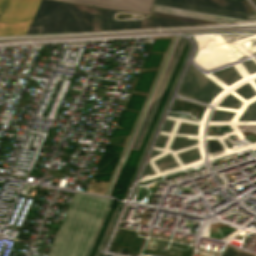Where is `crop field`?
Wrapping results in <instances>:
<instances>
[{
  "label": "crop field",
  "mask_w": 256,
  "mask_h": 256,
  "mask_svg": "<svg viewBox=\"0 0 256 256\" xmlns=\"http://www.w3.org/2000/svg\"><path fill=\"white\" fill-rule=\"evenodd\" d=\"M116 12L118 11L42 0L28 32L188 23L162 17L146 19L142 22H117L113 19V14Z\"/></svg>",
  "instance_id": "obj_1"
},
{
  "label": "crop field",
  "mask_w": 256,
  "mask_h": 256,
  "mask_svg": "<svg viewBox=\"0 0 256 256\" xmlns=\"http://www.w3.org/2000/svg\"><path fill=\"white\" fill-rule=\"evenodd\" d=\"M108 200L75 192L48 256H84Z\"/></svg>",
  "instance_id": "obj_2"
},
{
  "label": "crop field",
  "mask_w": 256,
  "mask_h": 256,
  "mask_svg": "<svg viewBox=\"0 0 256 256\" xmlns=\"http://www.w3.org/2000/svg\"><path fill=\"white\" fill-rule=\"evenodd\" d=\"M185 42H186L187 45H188V50H187V53H186L184 62H183L182 67H181V69H180V71H179V73H178V75H177V77H176V79H175V81H174V84H173V86H172V89H171V91H170V93H169V96H168V98H167V100H166V103H165V105H164V107H163V110H162V112H161V114H160V116H159V118H158V120H157V122H156V124H155V126H154V129H153V131H152V133H151V136H150V138H149V140H148V142H147V145H146V147H145V149H144V152H143V154H142V156H141V159H140V161H139V163H138V166H137V168H136V170H135V172H134V175H133V177H132V179H131V182H130V184H129V186H128L129 188L131 187V185H132V183H133V181H134V178H135V176H136V174H137V172H138V169H139V167H140V165H141V163H142V161H143V159H144V157H145V154H146V152H147V150H148V148H149V145H150V143H151V141H152V138H153V136H154V134H155V132H156L157 126H158V124H159V122H160V119H161V117H162V115H163V112H164V110H165V108H166V106H167V103H168V101H169V99H170V96H171V94H172V92H173V89H174V87H175V85H176V82H177V80H178V78H179V76H180V73H181V71H182V69H183V66H184V64H185V61H186V59H187V56H188V53H189V50H190V43H189V41H187L185 38H183V37H181V36L179 37V40H178L177 46H176V48H175V50H174V53H173V55H172V57H171V59H170V62H169V64H168L166 70H165V73H164V75H163V77H162V79H161V82H160V84H159V86H158V89H157V91H156V93H155V95H154V97H153V100H152V102H151V104H150V107H149V109H148V111H147V114H146V116H145V118H144V120H143V123H142V125H141V127H140V130H139V132H138V134H137V137H136V139H135V141H134V144H133V146H132V148H131V149H135V150H138V149H139V147H140V145H141V142H142V140H143V138H144V136H145V133H146V131H147V129H148V126H149V124H150V122H151V119H152V117H153V115H154V112H155L157 106H158V103H159V101H160V99H161V96H162V94H163V92H164V89H165V87H166V85H167V83H168V80H169V78H170V76H171V73H172V71H173V69H174V67H175V64H176V62H177V60H178V57H179V55H180V53H181V51H182V48H183Z\"/></svg>",
  "instance_id": "obj_3"
},
{
  "label": "crop field",
  "mask_w": 256,
  "mask_h": 256,
  "mask_svg": "<svg viewBox=\"0 0 256 256\" xmlns=\"http://www.w3.org/2000/svg\"><path fill=\"white\" fill-rule=\"evenodd\" d=\"M41 0H8L0 16V35L26 33Z\"/></svg>",
  "instance_id": "obj_4"
},
{
  "label": "crop field",
  "mask_w": 256,
  "mask_h": 256,
  "mask_svg": "<svg viewBox=\"0 0 256 256\" xmlns=\"http://www.w3.org/2000/svg\"><path fill=\"white\" fill-rule=\"evenodd\" d=\"M222 88L207 76L190 68L178 94L210 101Z\"/></svg>",
  "instance_id": "obj_5"
},
{
  "label": "crop field",
  "mask_w": 256,
  "mask_h": 256,
  "mask_svg": "<svg viewBox=\"0 0 256 256\" xmlns=\"http://www.w3.org/2000/svg\"><path fill=\"white\" fill-rule=\"evenodd\" d=\"M178 37H179V36H175L174 39H173V41H172V44H171V46H170V48H169V51H168V53H167V55H166V57H165V60H164V62H163V64H162V67H161V69H160V71H159V74H158V76H157V78H156V80H155V83H154V85H153V87H152V90H151V92H150V94H149V96H148V99H147V101H146V103H145V106H144V108H143V110H142V112H141V114H140V117H139V119H138V121H137V123H136V125H135V127H134V130H133V132H132V134H131V136H130V138H129V141H128L127 145H126V148H125V150H124V153H123V155H122V157H121V161H120V163H119V165H118V167H117V169H116V171H115V173H114V176H113V178H112V180H111V182H110V184H109V186H108V188H107V191H106V194H105V195H107V196L110 195V193H111V191H112V189H113V186H114V184H115V182H116V180H117V177H118V175H119V173H120V171H121V168H122V166H123V164H124V162H125V159H126L128 153H129V150H130V148H131V146H132V144H133V141H134V139H135V137H136V134H137V132H138V129H139V127H140V125H141V122H142V120H143V118H144V115H145V113H146V111H147V108H148V106H149V103H150V101H151V99H152V97H153V95H154V93H155V91H156V88H157V86H158V84H159V82H160V79H161L162 74H163V72H164V70H165V67H166V65H167V63H168V60H169V58H170V55H171V53H172V51H173V48H174L176 42H177Z\"/></svg>",
  "instance_id": "obj_6"
},
{
  "label": "crop field",
  "mask_w": 256,
  "mask_h": 256,
  "mask_svg": "<svg viewBox=\"0 0 256 256\" xmlns=\"http://www.w3.org/2000/svg\"><path fill=\"white\" fill-rule=\"evenodd\" d=\"M82 5L149 14L153 0H61Z\"/></svg>",
  "instance_id": "obj_7"
},
{
  "label": "crop field",
  "mask_w": 256,
  "mask_h": 256,
  "mask_svg": "<svg viewBox=\"0 0 256 256\" xmlns=\"http://www.w3.org/2000/svg\"><path fill=\"white\" fill-rule=\"evenodd\" d=\"M155 1L156 2L154 4H158V5L178 7V8H184V9L200 11V12L215 13V14L233 16L238 18H244L248 20L256 19V15L254 14H248V13H242V12H236V11H230V10H224V9L200 6V5H193V4H187V3H180V2H174V1H167V0H155Z\"/></svg>",
  "instance_id": "obj_8"
},
{
  "label": "crop field",
  "mask_w": 256,
  "mask_h": 256,
  "mask_svg": "<svg viewBox=\"0 0 256 256\" xmlns=\"http://www.w3.org/2000/svg\"><path fill=\"white\" fill-rule=\"evenodd\" d=\"M176 1L212 6V7H219V8H225V9H232V10L251 13V11L249 10L245 2H239V1H233V0H176Z\"/></svg>",
  "instance_id": "obj_9"
},
{
  "label": "crop field",
  "mask_w": 256,
  "mask_h": 256,
  "mask_svg": "<svg viewBox=\"0 0 256 256\" xmlns=\"http://www.w3.org/2000/svg\"><path fill=\"white\" fill-rule=\"evenodd\" d=\"M121 206H122V203H120V204L115 208V210H114V212H113V214H112V216H111V219H110V221H109V223H108V226H107V228H106V230H105V233H104V235H103V237H102V240H101V242H100V244H99V247H98V249H97V251H96L95 256H103L102 254H100L99 249H101V248H103V247L105 246V244H106V242H107V240H108V238H109V235H110V233H111V230H112V228H113V225H114V223H115V221H116V218H117V216H118V213H119V211H120Z\"/></svg>",
  "instance_id": "obj_10"
},
{
  "label": "crop field",
  "mask_w": 256,
  "mask_h": 256,
  "mask_svg": "<svg viewBox=\"0 0 256 256\" xmlns=\"http://www.w3.org/2000/svg\"><path fill=\"white\" fill-rule=\"evenodd\" d=\"M212 75L220 79L225 84H228L233 80L240 78V76L232 68L213 73Z\"/></svg>",
  "instance_id": "obj_11"
},
{
  "label": "crop field",
  "mask_w": 256,
  "mask_h": 256,
  "mask_svg": "<svg viewBox=\"0 0 256 256\" xmlns=\"http://www.w3.org/2000/svg\"><path fill=\"white\" fill-rule=\"evenodd\" d=\"M111 204H112V201L110 200L109 203H108V205H107V207H106V209H105V211H104V213H103V216H102V218H101V220H100V223H99V225H98V227H97V230H96V232H95V234H94V236H93V239H92V241H91V243H90V246H89V248H88L87 253H86L85 256H89V254H90V252H91V250H92V248H93V246H94V243H95V241H96V239H97V236H98V234H99V231H100V229H101V227H102V224H103V222H104V220H105V217H106V215H107V213H108V211H109V208H110Z\"/></svg>",
  "instance_id": "obj_12"
},
{
  "label": "crop field",
  "mask_w": 256,
  "mask_h": 256,
  "mask_svg": "<svg viewBox=\"0 0 256 256\" xmlns=\"http://www.w3.org/2000/svg\"><path fill=\"white\" fill-rule=\"evenodd\" d=\"M234 112L235 111H232V110H226V109L217 108V110L214 113L213 118L220 119V120L231 121L232 117L234 115Z\"/></svg>",
  "instance_id": "obj_13"
},
{
  "label": "crop field",
  "mask_w": 256,
  "mask_h": 256,
  "mask_svg": "<svg viewBox=\"0 0 256 256\" xmlns=\"http://www.w3.org/2000/svg\"><path fill=\"white\" fill-rule=\"evenodd\" d=\"M195 128L196 127H194V126H190V125H186V124L181 123L177 132H176V134L193 137L194 132H195Z\"/></svg>",
  "instance_id": "obj_14"
},
{
  "label": "crop field",
  "mask_w": 256,
  "mask_h": 256,
  "mask_svg": "<svg viewBox=\"0 0 256 256\" xmlns=\"http://www.w3.org/2000/svg\"><path fill=\"white\" fill-rule=\"evenodd\" d=\"M178 157L184 163V162H187V161H191V160L197 159L199 157V154H198V150L196 148V149H193V150H190V151L178 154Z\"/></svg>",
  "instance_id": "obj_15"
},
{
  "label": "crop field",
  "mask_w": 256,
  "mask_h": 256,
  "mask_svg": "<svg viewBox=\"0 0 256 256\" xmlns=\"http://www.w3.org/2000/svg\"><path fill=\"white\" fill-rule=\"evenodd\" d=\"M175 165H176V163H175L174 159L172 158L171 154L154 164V166H156L160 169L175 166Z\"/></svg>",
  "instance_id": "obj_16"
},
{
  "label": "crop field",
  "mask_w": 256,
  "mask_h": 256,
  "mask_svg": "<svg viewBox=\"0 0 256 256\" xmlns=\"http://www.w3.org/2000/svg\"><path fill=\"white\" fill-rule=\"evenodd\" d=\"M242 102V100L232 93L222 102V104L238 108Z\"/></svg>",
  "instance_id": "obj_17"
},
{
  "label": "crop field",
  "mask_w": 256,
  "mask_h": 256,
  "mask_svg": "<svg viewBox=\"0 0 256 256\" xmlns=\"http://www.w3.org/2000/svg\"><path fill=\"white\" fill-rule=\"evenodd\" d=\"M240 120H256V107L249 104Z\"/></svg>",
  "instance_id": "obj_18"
},
{
  "label": "crop field",
  "mask_w": 256,
  "mask_h": 256,
  "mask_svg": "<svg viewBox=\"0 0 256 256\" xmlns=\"http://www.w3.org/2000/svg\"><path fill=\"white\" fill-rule=\"evenodd\" d=\"M237 68L244 74V75H247L251 72H254L256 71V68L250 63H244V64H241L239 66H237Z\"/></svg>",
  "instance_id": "obj_19"
},
{
  "label": "crop field",
  "mask_w": 256,
  "mask_h": 256,
  "mask_svg": "<svg viewBox=\"0 0 256 256\" xmlns=\"http://www.w3.org/2000/svg\"><path fill=\"white\" fill-rule=\"evenodd\" d=\"M238 90L241 91L248 98L256 93L255 88L253 86V83H250V84H248V85H246V86H244V87H242Z\"/></svg>",
  "instance_id": "obj_20"
},
{
  "label": "crop field",
  "mask_w": 256,
  "mask_h": 256,
  "mask_svg": "<svg viewBox=\"0 0 256 256\" xmlns=\"http://www.w3.org/2000/svg\"><path fill=\"white\" fill-rule=\"evenodd\" d=\"M173 140H174L176 149L191 145L190 141H187V140H181V139H175V138H173Z\"/></svg>",
  "instance_id": "obj_21"
},
{
  "label": "crop field",
  "mask_w": 256,
  "mask_h": 256,
  "mask_svg": "<svg viewBox=\"0 0 256 256\" xmlns=\"http://www.w3.org/2000/svg\"><path fill=\"white\" fill-rule=\"evenodd\" d=\"M159 153H160V151L153 150L148 164H150L153 160H155V159L157 158V156H158ZM148 164H147V165H148ZM148 173H151V172L145 169L143 175H146V174H148ZM143 175H142V176H143Z\"/></svg>",
  "instance_id": "obj_22"
},
{
  "label": "crop field",
  "mask_w": 256,
  "mask_h": 256,
  "mask_svg": "<svg viewBox=\"0 0 256 256\" xmlns=\"http://www.w3.org/2000/svg\"><path fill=\"white\" fill-rule=\"evenodd\" d=\"M170 116H175V117H179V118H184V119H189V120L196 121V120H194L193 118H191L190 116H188L186 114H170Z\"/></svg>",
  "instance_id": "obj_23"
},
{
  "label": "crop field",
  "mask_w": 256,
  "mask_h": 256,
  "mask_svg": "<svg viewBox=\"0 0 256 256\" xmlns=\"http://www.w3.org/2000/svg\"><path fill=\"white\" fill-rule=\"evenodd\" d=\"M166 137L165 136H159L157 142H156V145L155 146H158V147H162L164 141H165Z\"/></svg>",
  "instance_id": "obj_24"
},
{
  "label": "crop field",
  "mask_w": 256,
  "mask_h": 256,
  "mask_svg": "<svg viewBox=\"0 0 256 256\" xmlns=\"http://www.w3.org/2000/svg\"><path fill=\"white\" fill-rule=\"evenodd\" d=\"M172 123H173V121L167 120L162 131L168 132Z\"/></svg>",
  "instance_id": "obj_25"
},
{
  "label": "crop field",
  "mask_w": 256,
  "mask_h": 256,
  "mask_svg": "<svg viewBox=\"0 0 256 256\" xmlns=\"http://www.w3.org/2000/svg\"><path fill=\"white\" fill-rule=\"evenodd\" d=\"M6 1H7V0H0V13H1V11H2V9H3V7H4L5 3H6Z\"/></svg>",
  "instance_id": "obj_26"
}]
</instances>
